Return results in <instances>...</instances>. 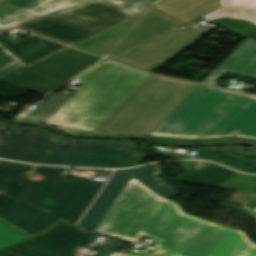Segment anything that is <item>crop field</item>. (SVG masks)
Segmentation results:
<instances>
[{"instance_id":"20","label":"crop field","mask_w":256,"mask_h":256,"mask_svg":"<svg viewBox=\"0 0 256 256\" xmlns=\"http://www.w3.org/2000/svg\"><path fill=\"white\" fill-rule=\"evenodd\" d=\"M29 237H31V235L28 233L6 220L0 219V249Z\"/></svg>"},{"instance_id":"18","label":"crop field","mask_w":256,"mask_h":256,"mask_svg":"<svg viewBox=\"0 0 256 256\" xmlns=\"http://www.w3.org/2000/svg\"><path fill=\"white\" fill-rule=\"evenodd\" d=\"M125 172L129 173L149 189L154 191L156 194L166 199L180 194L167 183H165L162 179L153 174L146 166L135 169H128L125 170Z\"/></svg>"},{"instance_id":"1","label":"crop field","mask_w":256,"mask_h":256,"mask_svg":"<svg viewBox=\"0 0 256 256\" xmlns=\"http://www.w3.org/2000/svg\"><path fill=\"white\" fill-rule=\"evenodd\" d=\"M75 80L82 86L72 97L52 93L13 120L44 122L75 134L147 135L198 85L110 61Z\"/></svg>"},{"instance_id":"32","label":"crop field","mask_w":256,"mask_h":256,"mask_svg":"<svg viewBox=\"0 0 256 256\" xmlns=\"http://www.w3.org/2000/svg\"><path fill=\"white\" fill-rule=\"evenodd\" d=\"M1 193V192H0ZM1 194H3V193H1ZM5 195V194H4ZM6 196H8V195H6ZM10 197V196H9ZM11 198H13V197H11ZM13 199H15V198H13ZM16 200H18V199H16ZM18 201H20V200H18ZM21 202H23V201H21ZM23 203H25V202H23ZM25 204H27V203H25ZM28 205H30V204H28ZM32 206V205H31ZM33 207H35V206H33ZM37 208V207H36ZM40 209V208H39ZM42 210V209H41ZM47 212V211H46ZM49 213V212H48ZM51 214V213H50ZM52 215H54V214H52ZM54 216H56V215H54ZM56 217H58V216H56ZM58 218H60V217H58Z\"/></svg>"},{"instance_id":"24","label":"crop field","mask_w":256,"mask_h":256,"mask_svg":"<svg viewBox=\"0 0 256 256\" xmlns=\"http://www.w3.org/2000/svg\"><path fill=\"white\" fill-rule=\"evenodd\" d=\"M129 11L138 12L160 0H109Z\"/></svg>"},{"instance_id":"30","label":"crop field","mask_w":256,"mask_h":256,"mask_svg":"<svg viewBox=\"0 0 256 256\" xmlns=\"http://www.w3.org/2000/svg\"><path fill=\"white\" fill-rule=\"evenodd\" d=\"M32 17H35V16H32L30 14L22 12V13L16 15V16H14L12 19H14L16 21H19V22H23V21H25L27 19H30Z\"/></svg>"},{"instance_id":"10","label":"crop field","mask_w":256,"mask_h":256,"mask_svg":"<svg viewBox=\"0 0 256 256\" xmlns=\"http://www.w3.org/2000/svg\"><path fill=\"white\" fill-rule=\"evenodd\" d=\"M0 216L33 236L58 219L1 194Z\"/></svg>"},{"instance_id":"5","label":"crop field","mask_w":256,"mask_h":256,"mask_svg":"<svg viewBox=\"0 0 256 256\" xmlns=\"http://www.w3.org/2000/svg\"><path fill=\"white\" fill-rule=\"evenodd\" d=\"M150 134L256 139V96L199 84Z\"/></svg>"},{"instance_id":"21","label":"crop field","mask_w":256,"mask_h":256,"mask_svg":"<svg viewBox=\"0 0 256 256\" xmlns=\"http://www.w3.org/2000/svg\"><path fill=\"white\" fill-rule=\"evenodd\" d=\"M86 1L88 0H48L26 12L39 16L57 9L70 7Z\"/></svg>"},{"instance_id":"25","label":"crop field","mask_w":256,"mask_h":256,"mask_svg":"<svg viewBox=\"0 0 256 256\" xmlns=\"http://www.w3.org/2000/svg\"><path fill=\"white\" fill-rule=\"evenodd\" d=\"M19 12H21V11L14 10V9H11L9 7H6V6L0 4V29L10 27V26L17 24L18 22L14 21L10 18Z\"/></svg>"},{"instance_id":"6","label":"crop field","mask_w":256,"mask_h":256,"mask_svg":"<svg viewBox=\"0 0 256 256\" xmlns=\"http://www.w3.org/2000/svg\"><path fill=\"white\" fill-rule=\"evenodd\" d=\"M68 169L3 161L0 191L75 223L103 182L66 174ZM32 174L45 178L30 181Z\"/></svg>"},{"instance_id":"15","label":"crop field","mask_w":256,"mask_h":256,"mask_svg":"<svg viewBox=\"0 0 256 256\" xmlns=\"http://www.w3.org/2000/svg\"><path fill=\"white\" fill-rule=\"evenodd\" d=\"M216 69L256 77V45L246 39Z\"/></svg>"},{"instance_id":"14","label":"crop field","mask_w":256,"mask_h":256,"mask_svg":"<svg viewBox=\"0 0 256 256\" xmlns=\"http://www.w3.org/2000/svg\"><path fill=\"white\" fill-rule=\"evenodd\" d=\"M240 147L227 146L224 148H201L194 158L218 162L246 173H256V160H250L237 155Z\"/></svg>"},{"instance_id":"16","label":"crop field","mask_w":256,"mask_h":256,"mask_svg":"<svg viewBox=\"0 0 256 256\" xmlns=\"http://www.w3.org/2000/svg\"><path fill=\"white\" fill-rule=\"evenodd\" d=\"M236 173L237 172L212 163L201 171L189 170L174 181L218 188Z\"/></svg>"},{"instance_id":"11","label":"crop field","mask_w":256,"mask_h":256,"mask_svg":"<svg viewBox=\"0 0 256 256\" xmlns=\"http://www.w3.org/2000/svg\"><path fill=\"white\" fill-rule=\"evenodd\" d=\"M0 44L28 66L67 48L32 34L16 42L0 35Z\"/></svg>"},{"instance_id":"13","label":"crop field","mask_w":256,"mask_h":256,"mask_svg":"<svg viewBox=\"0 0 256 256\" xmlns=\"http://www.w3.org/2000/svg\"><path fill=\"white\" fill-rule=\"evenodd\" d=\"M152 8L188 23L220 7L218 0H163Z\"/></svg>"},{"instance_id":"29","label":"crop field","mask_w":256,"mask_h":256,"mask_svg":"<svg viewBox=\"0 0 256 256\" xmlns=\"http://www.w3.org/2000/svg\"><path fill=\"white\" fill-rule=\"evenodd\" d=\"M110 256H139V255H133V254H123V253H112ZM148 256H172L168 253H165L161 250H158Z\"/></svg>"},{"instance_id":"22","label":"crop field","mask_w":256,"mask_h":256,"mask_svg":"<svg viewBox=\"0 0 256 256\" xmlns=\"http://www.w3.org/2000/svg\"><path fill=\"white\" fill-rule=\"evenodd\" d=\"M149 139H155L154 141L163 140L168 143H190V142H209V141H224V140H242L248 142H255L254 139L241 138V137H231V138H210V139H189V138H177V137H165V136H153L147 135Z\"/></svg>"},{"instance_id":"27","label":"crop field","mask_w":256,"mask_h":256,"mask_svg":"<svg viewBox=\"0 0 256 256\" xmlns=\"http://www.w3.org/2000/svg\"><path fill=\"white\" fill-rule=\"evenodd\" d=\"M122 243H124V241H116L115 243H113L112 245H110L109 247H106L104 245L102 246H99V245H96L93 247V249H97V250H101V251H105V252H109V253H112L116 248H118Z\"/></svg>"},{"instance_id":"12","label":"crop field","mask_w":256,"mask_h":256,"mask_svg":"<svg viewBox=\"0 0 256 256\" xmlns=\"http://www.w3.org/2000/svg\"><path fill=\"white\" fill-rule=\"evenodd\" d=\"M132 176L124 171H115L89 210L80 220L79 225L95 231L107 210L129 182Z\"/></svg>"},{"instance_id":"9","label":"crop field","mask_w":256,"mask_h":256,"mask_svg":"<svg viewBox=\"0 0 256 256\" xmlns=\"http://www.w3.org/2000/svg\"><path fill=\"white\" fill-rule=\"evenodd\" d=\"M94 236L60 219L37 236L1 249L0 256H73Z\"/></svg>"},{"instance_id":"33","label":"crop field","mask_w":256,"mask_h":256,"mask_svg":"<svg viewBox=\"0 0 256 256\" xmlns=\"http://www.w3.org/2000/svg\"><path fill=\"white\" fill-rule=\"evenodd\" d=\"M248 39L256 44V35H254V36H252V37H250Z\"/></svg>"},{"instance_id":"26","label":"crop field","mask_w":256,"mask_h":256,"mask_svg":"<svg viewBox=\"0 0 256 256\" xmlns=\"http://www.w3.org/2000/svg\"><path fill=\"white\" fill-rule=\"evenodd\" d=\"M43 0H0L1 3L8 4L22 11L38 4Z\"/></svg>"},{"instance_id":"31","label":"crop field","mask_w":256,"mask_h":256,"mask_svg":"<svg viewBox=\"0 0 256 256\" xmlns=\"http://www.w3.org/2000/svg\"><path fill=\"white\" fill-rule=\"evenodd\" d=\"M94 256H109V254H105V253L98 252V253L95 254Z\"/></svg>"},{"instance_id":"7","label":"crop field","mask_w":256,"mask_h":256,"mask_svg":"<svg viewBox=\"0 0 256 256\" xmlns=\"http://www.w3.org/2000/svg\"><path fill=\"white\" fill-rule=\"evenodd\" d=\"M132 15L106 1L90 3L54 12L19 28L52 40L72 44Z\"/></svg>"},{"instance_id":"8","label":"crop field","mask_w":256,"mask_h":256,"mask_svg":"<svg viewBox=\"0 0 256 256\" xmlns=\"http://www.w3.org/2000/svg\"><path fill=\"white\" fill-rule=\"evenodd\" d=\"M99 60L100 57L67 48L30 67L22 66L0 80L45 95Z\"/></svg>"},{"instance_id":"34","label":"crop field","mask_w":256,"mask_h":256,"mask_svg":"<svg viewBox=\"0 0 256 256\" xmlns=\"http://www.w3.org/2000/svg\"><path fill=\"white\" fill-rule=\"evenodd\" d=\"M252 213L254 214V216L256 217V208L254 210H252Z\"/></svg>"},{"instance_id":"19","label":"crop field","mask_w":256,"mask_h":256,"mask_svg":"<svg viewBox=\"0 0 256 256\" xmlns=\"http://www.w3.org/2000/svg\"><path fill=\"white\" fill-rule=\"evenodd\" d=\"M219 188L226 190L256 193V176H247L238 173ZM246 206L250 210L254 209L256 207V199L246 204Z\"/></svg>"},{"instance_id":"17","label":"crop field","mask_w":256,"mask_h":256,"mask_svg":"<svg viewBox=\"0 0 256 256\" xmlns=\"http://www.w3.org/2000/svg\"><path fill=\"white\" fill-rule=\"evenodd\" d=\"M221 8L203 16L211 21L222 17L247 20L256 25V0H219Z\"/></svg>"},{"instance_id":"4","label":"crop field","mask_w":256,"mask_h":256,"mask_svg":"<svg viewBox=\"0 0 256 256\" xmlns=\"http://www.w3.org/2000/svg\"><path fill=\"white\" fill-rule=\"evenodd\" d=\"M131 142L68 140L39 128L0 124V158L38 164L132 167L147 154ZM66 154V155H65Z\"/></svg>"},{"instance_id":"23","label":"crop field","mask_w":256,"mask_h":256,"mask_svg":"<svg viewBox=\"0 0 256 256\" xmlns=\"http://www.w3.org/2000/svg\"><path fill=\"white\" fill-rule=\"evenodd\" d=\"M17 58L0 45V76L22 66Z\"/></svg>"},{"instance_id":"2","label":"crop field","mask_w":256,"mask_h":256,"mask_svg":"<svg viewBox=\"0 0 256 256\" xmlns=\"http://www.w3.org/2000/svg\"><path fill=\"white\" fill-rule=\"evenodd\" d=\"M95 232L138 242L142 235L177 256H256L244 232L186 215L132 178Z\"/></svg>"},{"instance_id":"28","label":"crop field","mask_w":256,"mask_h":256,"mask_svg":"<svg viewBox=\"0 0 256 256\" xmlns=\"http://www.w3.org/2000/svg\"><path fill=\"white\" fill-rule=\"evenodd\" d=\"M222 73H224V71H218L215 69L202 83L215 85V79Z\"/></svg>"},{"instance_id":"3","label":"crop field","mask_w":256,"mask_h":256,"mask_svg":"<svg viewBox=\"0 0 256 256\" xmlns=\"http://www.w3.org/2000/svg\"><path fill=\"white\" fill-rule=\"evenodd\" d=\"M182 25L184 24L148 9L72 46L152 72L212 29L197 26L181 30L178 27Z\"/></svg>"}]
</instances>
